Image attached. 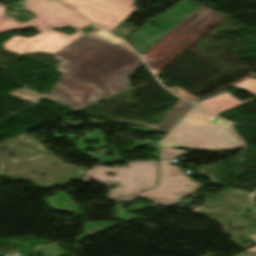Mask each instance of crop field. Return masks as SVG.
<instances>
[{"instance_id": "8a807250", "label": "crop field", "mask_w": 256, "mask_h": 256, "mask_svg": "<svg viewBox=\"0 0 256 256\" xmlns=\"http://www.w3.org/2000/svg\"><path fill=\"white\" fill-rule=\"evenodd\" d=\"M131 52L118 39L110 41L95 33L83 35L54 54L78 66L61 74L45 98L76 110L92 103L96 94L109 97L129 89L126 77L141 65ZM10 95L28 103L44 97L25 89Z\"/></svg>"}, {"instance_id": "ac0d7876", "label": "crop field", "mask_w": 256, "mask_h": 256, "mask_svg": "<svg viewBox=\"0 0 256 256\" xmlns=\"http://www.w3.org/2000/svg\"><path fill=\"white\" fill-rule=\"evenodd\" d=\"M4 10L5 8L0 5V32L27 26H32L43 32L32 38L15 36L3 44L5 49L19 55L34 52L54 54L85 34L86 32L80 29L90 24L53 2L34 13L36 17L25 23L16 22L12 17L5 16ZM67 27L77 29L78 31L71 36H67L52 30V28Z\"/></svg>"}, {"instance_id": "34b2d1b8", "label": "crop field", "mask_w": 256, "mask_h": 256, "mask_svg": "<svg viewBox=\"0 0 256 256\" xmlns=\"http://www.w3.org/2000/svg\"><path fill=\"white\" fill-rule=\"evenodd\" d=\"M216 120V117L194 105L158 144L160 147H187L212 151L244 146L229 125Z\"/></svg>"}, {"instance_id": "412701ff", "label": "crop field", "mask_w": 256, "mask_h": 256, "mask_svg": "<svg viewBox=\"0 0 256 256\" xmlns=\"http://www.w3.org/2000/svg\"><path fill=\"white\" fill-rule=\"evenodd\" d=\"M158 162H134L129 163V167L105 168L94 166V170L86 172L82 182L89 184V178L99 181L104 186L111 185L113 182H120V187L109 190V200L146 190L155 186L157 177ZM117 173L114 177L106 176L108 173ZM137 179V181H134Z\"/></svg>"}, {"instance_id": "f4fd0767", "label": "crop field", "mask_w": 256, "mask_h": 256, "mask_svg": "<svg viewBox=\"0 0 256 256\" xmlns=\"http://www.w3.org/2000/svg\"><path fill=\"white\" fill-rule=\"evenodd\" d=\"M56 1L109 31L138 9L132 5L133 0Z\"/></svg>"}, {"instance_id": "dd49c442", "label": "crop field", "mask_w": 256, "mask_h": 256, "mask_svg": "<svg viewBox=\"0 0 256 256\" xmlns=\"http://www.w3.org/2000/svg\"><path fill=\"white\" fill-rule=\"evenodd\" d=\"M184 184H187L190 187H187ZM201 186H204V185L194 182L191 179H187V180H183V181H178V182H174V183H170V184L161 185L154 189L147 190L142 193L136 194L134 196L117 199L115 201L119 204V206L116 207L117 211H118V215H119L118 219H124L127 221H129L131 219H139V220L149 219L146 217H140V216H135V215L129 214L132 211H140L149 206H146L143 204H138V205L130 208L131 210L127 212L125 210H122L120 201L128 203V202H132L133 198H135L137 196H141V197H146L150 200H152V198H155L156 199V200H154L155 202H159L163 206H166V207H171L172 205L181 201V200H179L180 198H182L186 195L195 193L197 191V189Z\"/></svg>"}, {"instance_id": "e52e79f7", "label": "crop field", "mask_w": 256, "mask_h": 256, "mask_svg": "<svg viewBox=\"0 0 256 256\" xmlns=\"http://www.w3.org/2000/svg\"><path fill=\"white\" fill-rule=\"evenodd\" d=\"M196 9L197 8L189 2L183 1L175 5L170 10L166 11L167 13H162L161 15L149 20L161 26L162 30H155L151 28L148 24V21H146L135 32V34L129 37L135 50L143 54L169 30H171L174 26H176Z\"/></svg>"}, {"instance_id": "d8731c3e", "label": "crop field", "mask_w": 256, "mask_h": 256, "mask_svg": "<svg viewBox=\"0 0 256 256\" xmlns=\"http://www.w3.org/2000/svg\"><path fill=\"white\" fill-rule=\"evenodd\" d=\"M231 87L245 90L247 92L253 93L256 96V79H254V78H249V79H247L243 82H240L236 85H233ZM254 100H256V98L253 100H250V101L240 102L237 99L233 98L230 94L225 92V93L218 95L216 97H213L209 100H206V101L203 100L204 102L197 103V104L218 114L223 111L232 109L234 107L243 105L245 103H248V102H251Z\"/></svg>"}, {"instance_id": "5a996713", "label": "crop field", "mask_w": 256, "mask_h": 256, "mask_svg": "<svg viewBox=\"0 0 256 256\" xmlns=\"http://www.w3.org/2000/svg\"><path fill=\"white\" fill-rule=\"evenodd\" d=\"M93 132V134H90L88 131H84L82 133H85V136L84 138H80V141L78 142H75L73 139L78 137L74 134H69V136L67 138H69L72 142H74L77 146L75 147L76 149H78L80 152H82L84 155L86 156H89L91 157V160H100V163H104V162H115V161H120V160H123L121 158L118 157L117 153H114L116 158L115 159H112V158H109V157H106L103 155V153L101 151H98V149L100 148H104L106 146V144L103 142L104 140V136L102 134L101 131L99 130H91ZM57 131H54V136L55 138H62V137H66L64 135H58L56 134ZM85 140H88V141H93V140H98L100 142L101 145L99 146H95V147H89V146H86L84 145L82 142H85ZM89 148H92L96 151H98V153L96 154H91V153H85L84 151L86 149H89Z\"/></svg>"}, {"instance_id": "3316defc", "label": "crop field", "mask_w": 256, "mask_h": 256, "mask_svg": "<svg viewBox=\"0 0 256 256\" xmlns=\"http://www.w3.org/2000/svg\"><path fill=\"white\" fill-rule=\"evenodd\" d=\"M191 105L192 104L180 99L178 103L171 109V111L162 119V121L158 125L116 119H111L110 121L132 125L147 126L167 132L175 124V122L189 109Z\"/></svg>"}, {"instance_id": "28ad6ade", "label": "crop field", "mask_w": 256, "mask_h": 256, "mask_svg": "<svg viewBox=\"0 0 256 256\" xmlns=\"http://www.w3.org/2000/svg\"><path fill=\"white\" fill-rule=\"evenodd\" d=\"M171 160L160 161L159 185L187 179L177 166H171Z\"/></svg>"}, {"instance_id": "d1516ede", "label": "crop field", "mask_w": 256, "mask_h": 256, "mask_svg": "<svg viewBox=\"0 0 256 256\" xmlns=\"http://www.w3.org/2000/svg\"><path fill=\"white\" fill-rule=\"evenodd\" d=\"M58 196L45 200L55 211H67L77 214L81 209L63 192H58Z\"/></svg>"}, {"instance_id": "22f410ed", "label": "crop field", "mask_w": 256, "mask_h": 256, "mask_svg": "<svg viewBox=\"0 0 256 256\" xmlns=\"http://www.w3.org/2000/svg\"><path fill=\"white\" fill-rule=\"evenodd\" d=\"M119 224L120 223H109V222H96V223L85 224V227L83 228V230L86 233L78 236V239H83L85 237L107 230Z\"/></svg>"}, {"instance_id": "cbeb9de0", "label": "crop field", "mask_w": 256, "mask_h": 256, "mask_svg": "<svg viewBox=\"0 0 256 256\" xmlns=\"http://www.w3.org/2000/svg\"><path fill=\"white\" fill-rule=\"evenodd\" d=\"M44 256H65L61 249L56 245V243L51 245H46L39 249Z\"/></svg>"}, {"instance_id": "5142ce71", "label": "crop field", "mask_w": 256, "mask_h": 256, "mask_svg": "<svg viewBox=\"0 0 256 256\" xmlns=\"http://www.w3.org/2000/svg\"><path fill=\"white\" fill-rule=\"evenodd\" d=\"M182 155H186V151L183 150H175L168 148H161V159L164 158H176Z\"/></svg>"}, {"instance_id": "d9b57169", "label": "crop field", "mask_w": 256, "mask_h": 256, "mask_svg": "<svg viewBox=\"0 0 256 256\" xmlns=\"http://www.w3.org/2000/svg\"><path fill=\"white\" fill-rule=\"evenodd\" d=\"M17 246V251L23 254H28V253H34L36 252L35 249L27 244L17 242V241H11Z\"/></svg>"}, {"instance_id": "733c2abd", "label": "crop field", "mask_w": 256, "mask_h": 256, "mask_svg": "<svg viewBox=\"0 0 256 256\" xmlns=\"http://www.w3.org/2000/svg\"><path fill=\"white\" fill-rule=\"evenodd\" d=\"M171 92L177 94V95H180L186 99H189L193 102H196L198 101L199 99L195 98L194 96L190 95L189 93H187L186 91L182 90L181 88L179 87H175V88H170L169 89Z\"/></svg>"}, {"instance_id": "4a817a6b", "label": "crop field", "mask_w": 256, "mask_h": 256, "mask_svg": "<svg viewBox=\"0 0 256 256\" xmlns=\"http://www.w3.org/2000/svg\"><path fill=\"white\" fill-rule=\"evenodd\" d=\"M146 145H149V147L152 148L156 152V154H151L152 157H159V149L156 145V142H141V143H139V144H137V145H135V146H133L129 149L133 150V149L138 148L140 146H146Z\"/></svg>"}, {"instance_id": "bc2a9ffb", "label": "crop field", "mask_w": 256, "mask_h": 256, "mask_svg": "<svg viewBox=\"0 0 256 256\" xmlns=\"http://www.w3.org/2000/svg\"><path fill=\"white\" fill-rule=\"evenodd\" d=\"M55 57V56H54ZM57 59L63 61L61 63V65L58 67L57 71H60L62 72L63 74H65L66 72H68L70 69H72L73 67L77 66L76 64L74 63H71L69 61H66V60H63V59H60L58 57H56Z\"/></svg>"}, {"instance_id": "214f88e0", "label": "crop field", "mask_w": 256, "mask_h": 256, "mask_svg": "<svg viewBox=\"0 0 256 256\" xmlns=\"http://www.w3.org/2000/svg\"><path fill=\"white\" fill-rule=\"evenodd\" d=\"M128 128L132 129L133 131H139V132H156V133L165 134V132H161V131L150 129V128H142V127H134V126H130Z\"/></svg>"}, {"instance_id": "92a150f3", "label": "crop field", "mask_w": 256, "mask_h": 256, "mask_svg": "<svg viewBox=\"0 0 256 256\" xmlns=\"http://www.w3.org/2000/svg\"><path fill=\"white\" fill-rule=\"evenodd\" d=\"M96 33H98V34H100V35H102V36H104V37H106V38H108L110 40L115 39L114 37L110 36L109 34H107L106 32H104L102 30L97 31Z\"/></svg>"}, {"instance_id": "dafd665d", "label": "crop field", "mask_w": 256, "mask_h": 256, "mask_svg": "<svg viewBox=\"0 0 256 256\" xmlns=\"http://www.w3.org/2000/svg\"><path fill=\"white\" fill-rule=\"evenodd\" d=\"M40 247H42V246H39V247H36V248H35L38 253H34V254H33L34 256H36V255H38V254L40 253L39 250H38ZM28 255H29V254H28ZM24 256H27V255H24Z\"/></svg>"}, {"instance_id": "00972430", "label": "crop field", "mask_w": 256, "mask_h": 256, "mask_svg": "<svg viewBox=\"0 0 256 256\" xmlns=\"http://www.w3.org/2000/svg\"><path fill=\"white\" fill-rule=\"evenodd\" d=\"M251 236H252V238H253V239H255V240H256V234H255V235H251Z\"/></svg>"}, {"instance_id": "a9b5d70f", "label": "crop field", "mask_w": 256, "mask_h": 256, "mask_svg": "<svg viewBox=\"0 0 256 256\" xmlns=\"http://www.w3.org/2000/svg\"><path fill=\"white\" fill-rule=\"evenodd\" d=\"M253 77H256V74H254Z\"/></svg>"}]
</instances>
